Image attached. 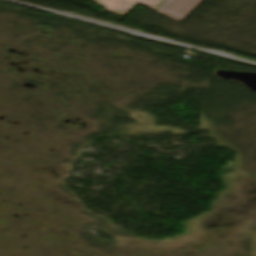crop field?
Masks as SVG:
<instances>
[{"label":"crop field","instance_id":"2","mask_svg":"<svg viewBox=\"0 0 256 256\" xmlns=\"http://www.w3.org/2000/svg\"><path fill=\"white\" fill-rule=\"evenodd\" d=\"M107 6L106 10L117 14L125 13L131 6H135L137 2L154 9L164 0H96Z\"/></svg>","mask_w":256,"mask_h":256},{"label":"crop field","instance_id":"1","mask_svg":"<svg viewBox=\"0 0 256 256\" xmlns=\"http://www.w3.org/2000/svg\"><path fill=\"white\" fill-rule=\"evenodd\" d=\"M201 1L202 0H167L157 9V11L179 21Z\"/></svg>","mask_w":256,"mask_h":256}]
</instances>
